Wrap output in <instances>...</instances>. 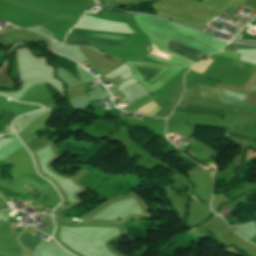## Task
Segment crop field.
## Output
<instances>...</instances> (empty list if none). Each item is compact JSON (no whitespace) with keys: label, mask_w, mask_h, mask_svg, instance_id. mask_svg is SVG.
Segmentation results:
<instances>
[{"label":"crop field","mask_w":256,"mask_h":256,"mask_svg":"<svg viewBox=\"0 0 256 256\" xmlns=\"http://www.w3.org/2000/svg\"><path fill=\"white\" fill-rule=\"evenodd\" d=\"M70 34L87 36V37H95V38H103V39H111V40H119V41H123L124 39L129 37L126 35L101 33V32H93V31H85V30H77V29H72ZM71 35L67 36L66 44L86 46V47L93 48L94 45L114 47L116 44L120 43L119 41H111V40H103V39L71 36Z\"/></svg>","instance_id":"1"},{"label":"crop field","mask_w":256,"mask_h":256,"mask_svg":"<svg viewBox=\"0 0 256 256\" xmlns=\"http://www.w3.org/2000/svg\"><path fill=\"white\" fill-rule=\"evenodd\" d=\"M169 46H170V50L175 52V53H178L182 56H185L189 59H192L196 62L200 61L202 58H204L207 54L205 53H202L200 51H197L195 49H192L190 47H187L183 44H180L174 40H171L169 42Z\"/></svg>","instance_id":"2"},{"label":"crop field","mask_w":256,"mask_h":256,"mask_svg":"<svg viewBox=\"0 0 256 256\" xmlns=\"http://www.w3.org/2000/svg\"><path fill=\"white\" fill-rule=\"evenodd\" d=\"M221 90V89H220ZM224 102L235 107H241L256 113V106L244 103L245 95L221 90Z\"/></svg>","instance_id":"3"},{"label":"crop field","mask_w":256,"mask_h":256,"mask_svg":"<svg viewBox=\"0 0 256 256\" xmlns=\"http://www.w3.org/2000/svg\"><path fill=\"white\" fill-rule=\"evenodd\" d=\"M20 238V237H19ZM40 242V240L34 238L33 236L29 235L28 233H24L21 238L19 239V243L22 244L23 246L29 248V249H33L38 243Z\"/></svg>","instance_id":"4"},{"label":"crop field","mask_w":256,"mask_h":256,"mask_svg":"<svg viewBox=\"0 0 256 256\" xmlns=\"http://www.w3.org/2000/svg\"><path fill=\"white\" fill-rule=\"evenodd\" d=\"M191 156H194L193 154H191L189 151H187Z\"/></svg>","instance_id":"5"}]
</instances>
